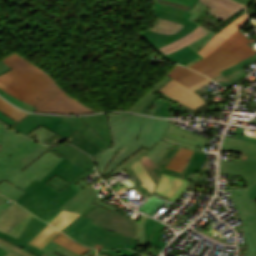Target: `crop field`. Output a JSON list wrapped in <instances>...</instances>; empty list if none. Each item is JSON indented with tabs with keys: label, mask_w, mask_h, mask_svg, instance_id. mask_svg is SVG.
Instances as JSON below:
<instances>
[{
	"label": "crop field",
	"mask_w": 256,
	"mask_h": 256,
	"mask_svg": "<svg viewBox=\"0 0 256 256\" xmlns=\"http://www.w3.org/2000/svg\"><path fill=\"white\" fill-rule=\"evenodd\" d=\"M210 33L209 31L205 30L201 26H197L190 34L160 48L166 55L194 42L195 40L203 37L204 35Z\"/></svg>",
	"instance_id": "a9b5d70f"
},
{
	"label": "crop field",
	"mask_w": 256,
	"mask_h": 256,
	"mask_svg": "<svg viewBox=\"0 0 256 256\" xmlns=\"http://www.w3.org/2000/svg\"><path fill=\"white\" fill-rule=\"evenodd\" d=\"M94 220L85 217L66 234L74 240L96 249L129 248L135 251L136 240L126 238L92 224Z\"/></svg>",
	"instance_id": "dd49c442"
},
{
	"label": "crop field",
	"mask_w": 256,
	"mask_h": 256,
	"mask_svg": "<svg viewBox=\"0 0 256 256\" xmlns=\"http://www.w3.org/2000/svg\"><path fill=\"white\" fill-rule=\"evenodd\" d=\"M113 146L109 147L79 117L41 116L30 114L12 128L27 135L36 134L38 142L58 134L70 137L76 131L103 150L93 160L98 173L108 174L142 147L151 149L166 131L171 121L128 113L107 114Z\"/></svg>",
	"instance_id": "8a807250"
},
{
	"label": "crop field",
	"mask_w": 256,
	"mask_h": 256,
	"mask_svg": "<svg viewBox=\"0 0 256 256\" xmlns=\"http://www.w3.org/2000/svg\"><path fill=\"white\" fill-rule=\"evenodd\" d=\"M247 22L249 20L244 14L213 37L198 52L205 58L189 68L213 78L220 75L219 71L255 54L256 52L247 44L251 41L238 31Z\"/></svg>",
	"instance_id": "412701ff"
},
{
	"label": "crop field",
	"mask_w": 256,
	"mask_h": 256,
	"mask_svg": "<svg viewBox=\"0 0 256 256\" xmlns=\"http://www.w3.org/2000/svg\"><path fill=\"white\" fill-rule=\"evenodd\" d=\"M170 1H174V2L184 4V5H187V6H191V7L194 5V2L189 1V0H170Z\"/></svg>",
	"instance_id": "1f2cbd36"
},
{
	"label": "crop field",
	"mask_w": 256,
	"mask_h": 256,
	"mask_svg": "<svg viewBox=\"0 0 256 256\" xmlns=\"http://www.w3.org/2000/svg\"><path fill=\"white\" fill-rule=\"evenodd\" d=\"M161 139H162V138H161ZM162 140H164V141H166V142H170V143H173V144H177V145L183 146V147H185V148H190V149H193V150H195V148H196V146H194V145H190V144H186V143H183V142H180V141H176V140L167 138V137H165V136L163 137Z\"/></svg>",
	"instance_id": "73cf0c24"
},
{
	"label": "crop field",
	"mask_w": 256,
	"mask_h": 256,
	"mask_svg": "<svg viewBox=\"0 0 256 256\" xmlns=\"http://www.w3.org/2000/svg\"><path fill=\"white\" fill-rule=\"evenodd\" d=\"M79 198L91 202V203H96L99 204L102 200L97 196L95 191L92 189V187L89 185L83 190H81L78 194H76Z\"/></svg>",
	"instance_id": "b80d0937"
},
{
	"label": "crop field",
	"mask_w": 256,
	"mask_h": 256,
	"mask_svg": "<svg viewBox=\"0 0 256 256\" xmlns=\"http://www.w3.org/2000/svg\"><path fill=\"white\" fill-rule=\"evenodd\" d=\"M49 256H80L54 242H50L43 250Z\"/></svg>",
	"instance_id": "1d83c4d3"
},
{
	"label": "crop field",
	"mask_w": 256,
	"mask_h": 256,
	"mask_svg": "<svg viewBox=\"0 0 256 256\" xmlns=\"http://www.w3.org/2000/svg\"><path fill=\"white\" fill-rule=\"evenodd\" d=\"M235 1L240 2V3H243V4H245V5L248 6V4H249V2H250L251 0H235Z\"/></svg>",
	"instance_id": "0fb4a251"
},
{
	"label": "crop field",
	"mask_w": 256,
	"mask_h": 256,
	"mask_svg": "<svg viewBox=\"0 0 256 256\" xmlns=\"http://www.w3.org/2000/svg\"><path fill=\"white\" fill-rule=\"evenodd\" d=\"M188 183V181L162 174L155 193L175 202Z\"/></svg>",
	"instance_id": "5142ce71"
},
{
	"label": "crop field",
	"mask_w": 256,
	"mask_h": 256,
	"mask_svg": "<svg viewBox=\"0 0 256 256\" xmlns=\"http://www.w3.org/2000/svg\"><path fill=\"white\" fill-rule=\"evenodd\" d=\"M160 96L166 98L167 100H166L152 115H154V116L169 117L170 114L168 113V106L171 105V103H169L168 101H169V100H172V99H170V98H168V97H166V96H164V95H162V94L159 95V96H156L154 99H152V100L145 106V108L142 110V112H141V111H140V112H141V113L146 112V110L148 109V107L151 106V104H152L154 101H156V99H157L158 97H160ZM173 101H174V100H173ZM174 102H176V101H174ZM178 105L182 106L183 108H185V109L188 110L189 112H192V111H193V110H191V109H189V108H187V107H185V106H183V105H181V104H178Z\"/></svg>",
	"instance_id": "120bbe31"
},
{
	"label": "crop field",
	"mask_w": 256,
	"mask_h": 256,
	"mask_svg": "<svg viewBox=\"0 0 256 256\" xmlns=\"http://www.w3.org/2000/svg\"><path fill=\"white\" fill-rule=\"evenodd\" d=\"M245 145L256 148L255 143L234 139L226 136L222 145V149L241 153Z\"/></svg>",
	"instance_id": "750c4746"
},
{
	"label": "crop field",
	"mask_w": 256,
	"mask_h": 256,
	"mask_svg": "<svg viewBox=\"0 0 256 256\" xmlns=\"http://www.w3.org/2000/svg\"><path fill=\"white\" fill-rule=\"evenodd\" d=\"M104 252H107L116 256H134L137 254L133 251L130 252L129 250H126V249H115V250H108Z\"/></svg>",
	"instance_id": "d23c7cc5"
},
{
	"label": "crop field",
	"mask_w": 256,
	"mask_h": 256,
	"mask_svg": "<svg viewBox=\"0 0 256 256\" xmlns=\"http://www.w3.org/2000/svg\"><path fill=\"white\" fill-rule=\"evenodd\" d=\"M50 148L64 155L66 158L72 160L86 170L94 167L91 158L88 157L89 155L87 156L70 145L63 144L59 146H51Z\"/></svg>",
	"instance_id": "bc2a9ffb"
},
{
	"label": "crop field",
	"mask_w": 256,
	"mask_h": 256,
	"mask_svg": "<svg viewBox=\"0 0 256 256\" xmlns=\"http://www.w3.org/2000/svg\"><path fill=\"white\" fill-rule=\"evenodd\" d=\"M78 214L70 213V212H64L61 211L51 222L53 226L57 227L58 229H62L65 227L68 223H70L72 220H74Z\"/></svg>",
	"instance_id": "d32e631a"
},
{
	"label": "crop field",
	"mask_w": 256,
	"mask_h": 256,
	"mask_svg": "<svg viewBox=\"0 0 256 256\" xmlns=\"http://www.w3.org/2000/svg\"><path fill=\"white\" fill-rule=\"evenodd\" d=\"M46 184L50 185L51 187L57 189V190H62L64 187L69 185L70 183L62 180L58 176H54L51 180H49Z\"/></svg>",
	"instance_id": "5d738f31"
},
{
	"label": "crop field",
	"mask_w": 256,
	"mask_h": 256,
	"mask_svg": "<svg viewBox=\"0 0 256 256\" xmlns=\"http://www.w3.org/2000/svg\"><path fill=\"white\" fill-rule=\"evenodd\" d=\"M109 145H112L106 114L80 117Z\"/></svg>",
	"instance_id": "92a150f3"
},
{
	"label": "crop field",
	"mask_w": 256,
	"mask_h": 256,
	"mask_svg": "<svg viewBox=\"0 0 256 256\" xmlns=\"http://www.w3.org/2000/svg\"><path fill=\"white\" fill-rule=\"evenodd\" d=\"M192 1L196 2L197 0H192Z\"/></svg>",
	"instance_id": "7b73153f"
},
{
	"label": "crop field",
	"mask_w": 256,
	"mask_h": 256,
	"mask_svg": "<svg viewBox=\"0 0 256 256\" xmlns=\"http://www.w3.org/2000/svg\"><path fill=\"white\" fill-rule=\"evenodd\" d=\"M10 70L9 67H7L4 63L0 62V74Z\"/></svg>",
	"instance_id": "dbb93151"
},
{
	"label": "crop field",
	"mask_w": 256,
	"mask_h": 256,
	"mask_svg": "<svg viewBox=\"0 0 256 256\" xmlns=\"http://www.w3.org/2000/svg\"><path fill=\"white\" fill-rule=\"evenodd\" d=\"M148 220V217L141 215L137 224H136V240H138L140 245L144 244L145 235H144V223Z\"/></svg>",
	"instance_id": "03da06ac"
},
{
	"label": "crop field",
	"mask_w": 256,
	"mask_h": 256,
	"mask_svg": "<svg viewBox=\"0 0 256 256\" xmlns=\"http://www.w3.org/2000/svg\"><path fill=\"white\" fill-rule=\"evenodd\" d=\"M171 144L166 143L164 141H160L155 148L146 154L148 157L152 158L156 163L159 161V159L162 157V155L165 153V151L169 148Z\"/></svg>",
	"instance_id": "c035e120"
},
{
	"label": "crop field",
	"mask_w": 256,
	"mask_h": 256,
	"mask_svg": "<svg viewBox=\"0 0 256 256\" xmlns=\"http://www.w3.org/2000/svg\"><path fill=\"white\" fill-rule=\"evenodd\" d=\"M243 229L245 231L246 239L248 241V249H247V253L245 254V256H256L255 253H254V246H253V243H252V241L250 239V236L248 234L246 225H243Z\"/></svg>",
	"instance_id": "425ffa30"
},
{
	"label": "crop field",
	"mask_w": 256,
	"mask_h": 256,
	"mask_svg": "<svg viewBox=\"0 0 256 256\" xmlns=\"http://www.w3.org/2000/svg\"><path fill=\"white\" fill-rule=\"evenodd\" d=\"M10 128L0 129V193L17 200L35 178L42 180L62 158Z\"/></svg>",
	"instance_id": "34b2d1b8"
},
{
	"label": "crop field",
	"mask_w": 256,
	"mask_h": 256,
	"mask_svg": "<svg viewBox=\"0 0 256 256\" xmlns=\"http://www.w3.org/2000/svg\"><path fill=\"white\" fill-rule=\"evenodd\" d=\"M149 150L142 148L141 150H139L136 154H134L133 156L129 157L128 159H126L124 162H122L119 166H117L113 171H111L108 175L105 176L104 180L113 176V174L115 172H117L118 170L127 167L130 163L136 161L137 159L141 158L143 155H145L146 153H148Z\"/></svg>",
	"instance_id": "0bd39190"
},
{
	"label": "crop field",
	"mask_w": 256,
	"mask_h": 256,
	"mask_svg": "<svg viewBox=\"0 0 256 256\" xmlns=\"http://www.w3.org/2000/svg\"><path fill=\"white\" fill-rule=\"evenodd\" d=\"M230 193L243 223L248 227L256 253V184L246 190L231 191Z\"/></svg>",
	"instance_id": "3316defc"
},
{
	"label": "crop field",
	"mask_w": 256,
	"mask_h": 256,
	"mask_svg": "<svg viewBox=\"0 0 256 256\" xmlns=\"http://www.w3.org/2000/svg\"><path fill=\"white\" fill-rule=\"evenodd\" d=\"M213 82L211 79L189 89L184 85L176 82L175 80L169 81L165 86L158 90V92L163 93L170 98L178 101L179 103L195 110L205 104L206 101L200 97L194 91Z\"/></svg>",
	"instance_id": "28ad6ade"
},
{
	"label": "crop field",
	"mask_w": 256,
	"mask_h": 256,
	"mask_svg": "<svg viewBox=\"0 0 256 256\" xmlns=\"http://www.w3.org/2000/svg\"><path fill=\"white\" fill-rule=\"evenodd\" d=\"M48 150L63 157L64 159L41 182L35 179L23 190L25 194L15 201L29 211L34 209L43 199L48 202L59 192L45 184L55 174L71 183L85 172V170L80 168V166L66 159L54 150L50 148Z\"/></svg>",
	"instance_id": "f4fd0767"
},
{
	"label": "crop field",
	"mask_w": 256,
	"mask_h": 256,
	"mask_svg": "<svg viewBox=\"0 0 256 256\" xmlns=\"http://www.w3.org/2000/svg\"><path fill=\"white\" fill-rule=\"evenodd\" d=\"M192 152L193 151H191V150H186V149L181 148L180 151L178 152V154L169 163L167 168L181 172V170L187 163L188 159L191 157Z\"/></svg>",
	"instance_id": "d3111659"
},
{
	"label": "crop field",
	"mask_w": 256,
	"mask_h": 256,
	"mask_svg": "<svg viewBox=\"0 0 256 256\" xmlns=\"http://www.w3.org/2000/svg\"><path fill=\"white\" fill-rule=\"evenodd\" d=\"M53 241H55L56 243L80 254L83 255L85 252H87L88 250H85L83 248H80L79 246L71 243L69 240L63 238L62 236H60L59 234L53 239Z\"/></svg>",
	"instance_id": "c21b1889"
},
{
	"label": "crop field",
	"mask_w": 256,
	"mask_h": 256,
	"mask_svg": "<svg viewBox=\"0 0 256 256\" xmlns=\"http://www.w3.org/2000/svg\"><path fill=\"white\" fill-rule=\"evenodd\" d=\"M131 167L136 172L138 177L141 179V181L144 183V185L149 189V191L152 193L155 183L149 176V174L146 172V170L143 168L141 163L138 161L131 164Z\"/></svg>",
	"instance_id": "bd1437ed"
},
{
	"label": "crop field",
	"mask_w": 256,
	"mask_h": 256,
	"mask_svg": "<svg viewBox=\"0 0 256 256\" xmlns=\"http://www.w3.org/2000/svg\"><path fill=\"white\" fill-rule=\"evenodd\" d=\"M154 13L156 16H160L183 25L191 15V13L187 11L159 3H154Z\"/></svg>",
	"instance_id": "4177f3b9"
},
{
	"label": "crop field",
	"mask_w": 256,
	"mask_h": 256,
	"mask_svg": "<svg viewBox=\"0 0 256 256\" xmlns=\"http://www.w3.org/2000/svg\"><path fill=\"white\" fill-rule=\"evenodd\" d=\"M2 62L12 70L0 76V88L38 107L35 112L59 114L100 112L69 96L50 73L17 52L3 58Z\"/></svg>",
	"instance_id": "ac0d7876"
},
{
	"label": "crop field",
	"mask_w": 256,
	"mask_h": 256,
	"mask_svg": "<svg viewBox=\"0 0 256 256\" xmlns=\"http://www.w3.org/2000/svg\"><path fill=\"white\" fill-rule=\"evenodd\" d=\"M0 110L6 114L7 116L11 117L12 119L18 121L22 119L27 113L17 110L15 107L9 105L4 100L0 98Z\"/></svg>",
	"instance_id": "5866460e"
},
{
	"label": "crop field",
	"mask_w": 256,
	"mask_h": 256,
	"mask_svg": "<svg viewBox=\"0 0 256 256\" xmlns=\"http://www.w3.org/2000/svg\"><path fill=\"white\" fill-rule=\"evenodd\" d=\"M255 60H256V54L230 68H227L221 71L222 75L213 78V80H215L216 82L220 83L223 86H227L229 84H233L237 81H240L246 77V74L242 68L252 63Z\"/></svg>",
	"instance_id": "733c2abd"
},
{
	"label": "crop field",
	"mask_w": 256,
	"mask_h": 256,
	"mask_svg": "<svg viewBox=\"0 0 256 256\" xmlns=\"http://www.w3.org/2000/svg\"><path fill=\"white\" fill-rule=\"evenodd\" d=\"M92 171H94V168L86 171L69 186H67L56 196H54L48 203L43 200L34 210L30 212L49 223L60 212V210H58L57 208L63 205L66 201H68L71 197L79 192V190L73 188L72 186Z\"/></svg>",
	"instance_id": "22f410ed"
},
{
	"label": "crop field",
	"mask_w": 256,
	"mask_h": 256,
	"mask_svg": "<svg viewBox=\"0 0 256 256\" xmlns=\"http://www.w3.org/2000/svg\"><path fill=\"white\" fill-rule=\"evenodd\" d=\"M253 2L256 4V0H253Z\"/></svg>",
	"instance_id": "db79e9e6"
},
{
	"label": "crop field",
	"mask_w": 256,
	"mask_h": 256,
	"mask_svg": "<svg viewBox=\"0 0 256 256\" xmlns=\"http://www.w3.org/2000/svg\"><path fill=\"white\" fill-rule=\"evenodd\" d=\"M29 213L17 204H11L0 216V231L5 233L17 220L25 219Z\"/></svg>",
	"instance_id": "dafd665d"
},
{
	"label": "crop field",
	"mask_w": 256,
	"mask_h": 256,
	"mask_svg": "<svg viewBox=\"0 0 256 256\" xmlns=\"http://www.w3.org/2000/svg\"><path fill=\"white\" fill-rule=\"evenodd\" d=\"M202 3L211 7L209 14L225 21L235 12L244 9L246 10V6L237 3L232 0H199Z\"/></svg>",
	"instance_id": "d9b57169"
},
{
	"label": "crop field",
	"mask_w": 256,
	"mask_h": 256,
	"mask_svg": "<svg viewBox=\"0 0 256 256\" xmlns=\"http://www.w3.org/2000/svg\"><path fill=\"white\" fill-rule=\"evenodd\" d=\"M179 149V147L171 145L157 164L152 159L148 158L146 155L139 159L144 168L147 170V172L150 174V176L156 183L154 191L156 189L157 183L162 172L186 180L188 174L191 171H200L202 163L207 154L195 151L193 152L192 157L189 159L188 163L186 164L181 173L165 168L167 164L172 160V158L177 154Z\"/></svg>",
	"instance_id": "e52e79f7"
},
{
	"label": "crop field",
	"mask_w": 256,
	"mask_h": 256,
	"mask_svg": "<svg viewBox=\"0 0 256 256\" xmlns=\"http://www.w3.org/2000/svg\"><path fill=\"white\" fill-rule=\"evenodd\" d=\"M168 76L172 77L176 81H178L188 87L207 79V77H205L193 70L182 67L180 65H176Z\"/></svg>",
	"instance_id": "00972430"
},
{
	"label": "crop field",
	"mask_w": 256,
	"mask_h": 256,
	"mask_svg": "<svg viewBox=\"0 0 256 256\" xmlns=\"http://www.w3.org/2000/svg\"><path fill=\"white\" fill-rule=\"evenodd\" d=\"M165 225L149 218V220L145 223V235L146 241L144 247H147L148 243L164 248L167 243L159 240L163 235L160 233ZM156 229V231H155Z\"/></svg>",
	"instance_id": "730fd06b"
},
{
	"label": "crop field",
	"mask_w": 256,
	"mask_h": 256,
	"mask_svg": "<svg viewBox=\"0 0 256 256\" xmlns=\"http://www.w3.org/2000/svg\"><path fill=\"white\" fill-rule=\"evenodd\" d=\"M0 199H2V200H4V201H9V199H7L6 197H4V196H2V195H0ZM9 203H13L12 201L11 202H9Z\"/></svg>",
	"instance_id": "1d79db26"
},
{
	"label": "crop field",
	"mask_w": 256,
	"mask_h": 256,
	"mask_svg": "<svg viewBox=\"0 0 256 256\" xmlns=\"http://www.w3.org/2000/svg\"><path fill=\"white\" fill-rule=\"evenodd\" d=\"M41 256H47V255L44 253V254H42Z\"/></svg>",
	"instance_id": "0765c3eb"
},
{
	"label": "crop field",
	"mask_w": 256,
	"mask_h": 256,
	"mask_svg": "<svg viewBox=\"0 0 256 256\" xmlns=\"http://www.w3.org/2000/svg\"><path fill=\"white\" fill-rule=\"evenodd\" d=\"M63 142L71 143L80 149L84 150L91 156L95 153L99 152L101 149L92 144L90 141H88L86 138H84L79 133H75L70 138H62L58 135L52 137L51 139L47 140L44 144L52 145V144H60Z\"/></svg>",
	"instance_id": "4a817a6b"
},
{
	"label": "crop field",
	"mask_w": 256,
	"mask_h": 256,
	"mask_svg": "<svg viewBox=\"0 0 256 256\" xmlns=\"http://www.w3.org/2000/svg\"><path fill=\"white\" fill-rule=\"evenodd\" d=\"M0 126H1V127H3V126H5V125H4V124H2V123H0Z\"/></svg>",
	"instance_id": "447ae74e"
},
{
	"label": "crop field",
	"mask_w": 256,
	"mask_h": 256,
	"mask_svg": "<svg viewBox=\"0 0 256 256\" xmlns=\"http://www.w3.org/2000/svg\"><path fill=\"white\" fill-rule=\"evenodd\" d=\"M58 233V230L48 224L29 244L42 249Z\"/></svg>",
	"instance_id": "eef30255"
},
{
	"label": "crop field",
	"mask_w": 256,
	"mask_h": 256,
	"mask_svg": "<svg viewBox=\"0 0 256 256\" xmlns=\"http://www.w3.org/2000/svg\"><path fill=\"white\" fill-rule=\"evenodd\" d=\"M182 28H183V25L157 17L155 24L152 25L150 29L164 33V34H172V33L179 32Z\"/></svg>",
	"instance_id": "ae1a2a85"
},
{
	"label": "crop field",
	"mask_w": 256,
	"mask_h": 256,
	"mask_svg": "<svg viewBox=\"0 0 256 256\" xmlns=\"http://www.w3.org/2000/svg\"><path fill=\"white\" fill-rule=\"evenodd\" d=\"M95 206H96V204L87 203L75 196L73 198H71L68 202H66L59 209L79 213L81 215L78 218H76L73 222H71L69 225H67L64 229H62L61 231L66 233L77 222H79L82 218H84L85 217L84 215L87 214Z\"/></svg>",
	"instance_id": "214f88e0"
},
{
	"label": "crop field",
	"mask_w": 256,
	"mask_h": 256,
	"mask_svg": "<svg viewBox=\"0 0 256 256\" xmlns=\"http://www.w3.org/2000/svg\"><path fill=\"white\" fill-rule=\"evenodd\" d=\"M156 2L164 3V4H167V5L177 7V8H180V9H184V10H188V11L191 9V7L180 5V4L170 2V1H167V0H156Z\"/></svg>",
	"instance_id": "89e229c0"
},
{
	"label": "crop field",
	"mask_w": 256,
	"mask_h": 256,
	"mask_svg": "<svg viewBox=\"0 0 256 256\" xmlns=\"http://www.w3.org/2000/svg\"><path fill=\"white\" fill-rule=\"evenodd\" d=\"M220 173L245 175L246 187L256 182V149L246 146L238 163L221 160Z\"/></svg>",
	"instance_id": "d1516ede"
},
{
	"label": "crop field",
	"mask_w": 256,
	"mask_h": 256,
	"mask_svg": "<svg viewBox=\"0 0 256 256\" xmlns=\"http://www.w3.org/2000/svg\"><path fill=\"white\" fill-rule=\"evenodd\" d=\"M85 216L96 220L94 224L100 227L106 228L129 238L134 239L135 237V224L137 221L135 219L106 210L98 205Z\"/></svg>",
	"instance_id": "5a996713"
},
{
	"label": "crop field",
	"mask_w": 256,
	"mask_h": 256,
	"mask_svg": "<svg viewBox=\"0 0 256 256\" xmlns=\"http://www.w3.org/2000/svg\"><path fill=\"white\" fill-rule=\"evenodd\" d=\"M6 253H7V251H5V250H3V249L0 248V256H3V255L6 254Z\"/></svg>",
	"instance_id": "9d1cf04e"
},
{
	"label": "crop field",
	"mask_w": 256,
	"mask_h": 256,
	"mask_svg": "<svg viewBox=\"0 0 256 256\" xmlns=\"http://www.w3.org/2000/svg\"><path fill=\"white\" fill-rule=\"evenodd\" d=\"M196 26H197L196 23H194L188 19V21L185 24V27L177 34L164 35V34L157 33V32L151 31V30H146V31L142 32L140 34V36L146 42H148L150 45H152L158 53L162 54L163 56L167 57L168 59H170L178 64L185 65L201 56L198 53H196L195 51H193L191 48H189L188 46L179 51H176L168 56H166L164 53H162L158 48L191 32Z\"/></svg>",
	"instance_id": "d8731c3e"
},
{
	"label": "crop field",
	"mask_w": 256,
	"mask_h": 256,
	"mask_svg": "<svg viewBox=\"0 0 256 256\" xmlns=\"http://www.w3.org/2000/svg\"><path fill=\"white\" fill-rule=\"evenodd\" d=\"M46 225L47 223L34 217L32 222L24 230L19 239L3 234L1 232L0 237L39 256L43 253V251L27 243L31 241Z\"/></svg>",
	"instance_id": "cbeb9de0"
},
{
	"label": "crop field",
	"mask_w": 256,
	"mask_h": 256,
	"mask_svg": "<svg viewBox=\"0 0 256 256\" xmlns=\"http://www.w3.org/2000/svg\"><path fill=\"white\" fill-rule=\"evenodd\" d=\"M165 136H168L170 138H173V139H177V140H180V141H183V142H187V143H190V144H195V145H200V146H204L205 147V144H201V143H198V142H195V141H191V140H188V139H185L175 133H172V132H169L167 131L165 133Z\"/></svg>",
	"instance_id": "25e5ab78"
},
{
	"label": "crop field",
	"mask_w": 256,
	"mask_h": 256,
	"mask_svg": "<svg viewBox=\"0 0 256 256\" xmlns=\"http://www.w3.org/2000/svg\"><path fill=\"white\" fill-rule=\"evenodd\" d=\"M34 215L30 213V215L23 221H17L7 232L6 234L12 235L14 237L19 238L23 230L27 227V225L31 222Z\"/></svg>",
	"instance_id": "e1f06a70"
},
{
	"label": "crop field",
	"mask_w": 256,
	"mask_h": 256,
	"mask_svg": "<svg viewBox=\"0 0 256 256\" xmlns=\"http://www.w3.org/2000/svg\"><path fill=\"white\" fill-rule=\"evenodd\" d=\"M0 247L8 250L9 252L4 256H35L15 245L8 243L5 240L0 239Z\"/></svg>",
	"instance_id": "028f5c9d"
},
{
	"label": "crop field",
	"mask_w": 256,
	"mask_h": 256,
	"mask_svg": "<svg viewBox=\"0 0 256 256\" xmlns=\"http://www.w3.org/2000/svg\"><path fill=\"white\" fill-rule=\"evenodd\" d=\"M0 94H1L3 97H5L8 101H10L11 103H13V104L19 106L20 108H22V109H24V110L33 111V110L36 109V107L31 106V105H29V104H26V103H24V102H22V101H20V100H18V99H16V98L12 97L11 95H9L8 93H6V92H4V91H2V90H0Z\"/></svg>",
	"instance_id": "b54c1fbb"
}]
</instances>
